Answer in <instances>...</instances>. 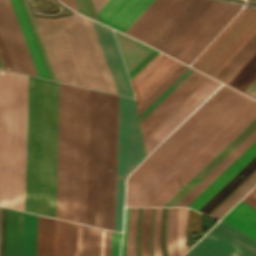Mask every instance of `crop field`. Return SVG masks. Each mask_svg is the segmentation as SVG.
Returning a JSON list of instances; mask_svg holds the SVG:
<instances>
[{
    "instance_id": "214f88e0",
    "label": "crop field",
    "mask_w": 256,
    "mask_h": 256,
    "mask_svg": "<svg viewBox=\"0 0 256 256\" xmlns=\"http://www.w3.org/2000/svg\"><path fill=\"white\" fill-rule=\"evenodd\" d=\"M72 256H100L101 229L73 223Z\"/></svg>"
},
{
    "instance_id": "dafd665d",
    "label": "crop field",
    "mask_w": 256,
    "mask_h": 256,
    "mask_svg": "<svg viewBox=\"0 0 256 256\" xmlns=\"http://www.w3.org/2000/svg\"><path fill=\"white\" fill-rule=\"evenodd\" d=\"M23 212L6 210L4 256H20Z\"/></svg>"
},
{
    "instance_id": "412701ff",
    "label": "crop field",
    "mask_w": 256,
    "mask_h": 256,
    "mask_svg": "<svg viewBox=\"0 0 256 256\" xmlns=\"http://www.w3.org/2000/svg\"><path fill=\"white\" fill-rule=\"evenodd\" d=\"M116 112L117 96L89 89L85 224L111 230Z\"/></svg>"
},
{
    "instance_id": "028f5c9d",
    "label": "crop field",
    "mask_w": 256,
    "mask_h": 256,
    "mask_svg": "<svg viewBox=\"0 0 256 256\" xmlns=\"http://www.w3.org/2000/svg\"><path fill=\"white\" fill-rule=\"evenodd\" d=\"M121 234L112 231L111 256H119Z\"/></svg>"
},
{
    "instance_id": "f4fd0767",
    "label": "crop field",
    "mask_w": 256,
    "mask_h": 256,
    "mask_svg": "<svg viewBox=\"0 0 256 256\" xmlns=\"http://www.w3.org/2000/svg\"><path fill=\"white\" fill-rule=\"evenodd\" d=\"M14 73L0 70V206L24 211L25 176L11 175ZM28 76L15 73L12 174L25 175Z\"/></svg>"
},
{
    "instance_id": "a9b5d70f",
    "label": "crop field",
    "mask_w": 256,
    "mask_h": 256,
    "mask_svg": "<svg viewBox=\"0 0 256 256\" xmlns=\"http://www.w3.org/2000/svg\"><path fill=\"white\" fill-rule=\"evenodd\" d=\"M255 170H256V157L252 161H250L235 177H233L211 200H209L199 210V212L208 216Z\"/></svg>"
},
{
    "instance_id": "34b2d1b8",
    "label": "crop field",
    "mask_w": 256,
    "mask_h": 256,
    "mask_svg": "<svg viewBox=\"0 0 256 256\" xmlns=\"http://www.w3.org/2000/svg\"><path fill=\"white\" fill-rule=\"evenodd\" d=\"M33 18L57 80L117 94L89 19Z\"/></svg>"
},
{
    "instance_id": "425ffa30",
    "label": "crop field",
    "mask_w": 256,
    "mask_h": 256,
    "mask_svg": "<svg viewBox=\"0 0 256 256\" xmlns=\"http://www.w3.org/2000/svg\"><path fill=\"white\" fill-rule=\"evenodd\" d=\"M131 217H132V208H130V217H129V232H128L127 256H129V237H130V230H131Z\"/></svg>"
},
{
    "instance_id": "d32e631a",
    "label": "crop field",
    "mask_w": 256,
    "mask_h": 256,
    "mask_svg": "<svg viewBox=\"0 0 256 256\" xmlns=\"http://www.w3.org/2000/svg\"><path fill=\"white\" fill-rule=\"evenodd\" d=\"M173 217H174V208H169L168 221H167V235H166L169 256H175L173 239H172Z\"/></svg>"
},
{
    "instance_id": "3316defc",
    "label": "crop field",
    "mask_w": 256,
    "mask_h": 256,
    "mask_svg": "<svg viewBox=\"0 0 256 256\" xmlns=\"http://www.w3.org/2000/svg\"><path fill=\"white\" fill-rule=\"evenodd\" d=\"M235 93L236 91L222 85L211 97H209L186 121H184L142 162V164L133 172V174L131 173L132 175L128 178L126 197Z\"/></svg>"
},
{
    "instance_id": "c21b1889",
    "label": "crop field",
    "mask_w": 256,
    "mask_h": 256,
    "mask_svg": "<svg viewBox=\"0 0 256 256\" xmlns=\"http://www.w3.org/2000/svg\"><path fill=\"white\" fill-rule=\"evenodd\" d=\"M128 216H129V208H126L124 238H123V246H122L121 256H125V245H126V237H127V229H128Z\"/></svg>"
},
{
    "instance_id": "d3111659",
    "label": "crop field",
    "mask_w": 256,
    "mask_h": 256,
    "mask_svg": "<svg viewBox=\"0 0 256 256\" xmlns=\"http://www.w3.org/2000/svg\"><path fill=\"white\" fill-rule=\"evenodd\" d=\"M256 184V171L242 183L220 206H218L209 217L218 220L226 213L246 192ZM247 194V193H246ZM245 194V195H246ZM225 215V214H224Z\"/></svg>"
},
{
    "instance_id": "5866460e",
    "label": "crop field",
    "mask_w": 256,
    "mask_h": 256,
    "mask_svg": "<svg viewBox=\"0 0 256 256\" xmlns=\"http://www.w3.org/2000/svg\"><path fill=\"white\" fill-rule=\"evenodd\" d=\"M0 60L4 69L15 71L13 68L12 62L10 60L9 54L7 52L6 46L4 44L3 38L1 36V33H0Z\"/></svg>"
},
{
    "instance_id": "4177f3b9",
    "label": "crop field",
    "mask_w": 256,
    "mask_h": 256,
    "mask_svg": "<svg viewBox=\"0 0 256 256\" xmlns=\"http://www.w3.org/2000/svg\"><path fill=\"white\" fill-rule=\"evenodd\" d=\"M115 31V30H114ZM127 72L133 69L153 49L115 31Z\"/></svg>"
},
{
    "instance_id": "d8731c3e",
    "label": "crop field",
    "mask_w": 256,
    "mask_h": 256,
    "mask_svg": "<svg viewBox=\"0 0 256 256\" xmlns=\"http://www.w3.org/2000/svg\"><path fill=\"white\" fill-rule=\"evenodd\" d=\"M0 30L16 71L50 79L21 0H0Z\"/></svg>"
},
{
    "instance_id": "dd49c442",
    "label": "crop field",
    "mask_w": 256,
    "mask_h": 256,
    "mask_svg": "<svg viewBox=\"0 0 256 256\" xmlns=\"http://www.w3.org/2000/svg\"><path fill=\"white\" fill-rule=\"evenodd\" d=\"M256 31V10L243 8L193 67L215 76ZM240 91L256 78V32L214 77Z\"/></svg>"
},
{
    "instance_id": "92a150f3",
    "label": "crop field",
    "mask_w": 256,
    "mask_h": 256,
    "mask_svg": "<svg viewBox=\"0 0 256 256\" xmlns=\"http://www.w3.org/2000/svg\"><path fill=\"white\" fill-rule=\"evenodd\" d=\"M256 140V129L236 147L213 171H211L188 195L176 206H187L200 194L222 171H224L242 152Z\"/></svg>"
},
{
    "instance_id": "8a807250",
    "label": "crop field",
    "mask_w": 256,
    "mask_h": 256,
    "mask_svg": "<svg viewBox=\"0 0 256 256\" xmlns=\"http://www.w3.org/2000/svg\"><path fill=\"white\" fill-rule=\"evenodd\" d=\"M58 99V82L29 76L25 210L51 217L56 201ZM87 105L88 89L60 83L56 217L83 224Z\"/></svg>"
},
{
    "instance_id": "c035e120",
    "label": "crop field",
    "mask_w": 256,
    "mask_h": 256,
    "mask_svg": "<svg viewBox=\"0 0 256 256\" xmlns=\"http://www.w3.org/2000/svg\"><path fill=\"white\" fill-rule=\"evenodd\" d=\"M111 231L105 230L104 256H110Z\"/></svg>"
},
{
    "instance_id": "e1f06a70",
    "label": "crop field",
    "mask_w": 256,
    "mask_h": 256,
    "mask_svg": "<svg viewBox=\"0 0 256 256\" xmlns=\"http://www.w3.org/2000/svg\"><path fill=\"white\" fill-rule=\"evenodd\" d=\"M136 217H137V208H133L132 231H131V241H130V256H134Z\"/></svg>"
},
{
    "instance_id": "d1516ede",
    "label": "crop field",
    "mask_w": 256,
    "mask_h": 256,
    "mask_svg": "<svg viewBox=\"0 0 256 256\" xmlns=\"http://www.w3.org/2000/svg\"><path fill=\"white\" fill-rule=\"evenodd\" d=\"M185 254L189 256H256V240L220 220Z\"/></svg>"
},
{
    "instance_id": "0bd39190",
    "label": "crop field",
    "mask_w": 256,
    "mask_h": 256,
    "mask_svg": "<svg viewBox=\"0 0 256 256\" xmlns=\"http://www.w3.org/2000/svg\"><path fill=\"white\" fill-rule=\"evenodd\" d=\"M160 217H161V208H158L157 222H156V236H155V251L157 256H161V250L159 245Z\"/></svg>"
},
{
    "instance_id": "d9b57169",
    "label": "crop field",
    "mask_w": 256,
    "mask_h": 256,
    "mask_svg": "<svg viewBox=\"0 0 256 256\" xmlns=\"http://www.w3.org/2000/svg\"><path fill=\"white\" fill-rule=\"evenodd\" d=\"M180 64L159 53L131 80L135 92L136 104L138 105Z\"/></svg>"
},
{
    "instance_id": "89e229c0",
    "label": "crop field",
    "mask_w": 256,
    "mask_h": 256,
    "mask_svg": "<svg viewBox=\"0 0 256 256\" xmlns=\"http://www.w3.org/2000/svg\"><path fill=\"white\" fill-rule=\"evenodd\" d=\"M250 1H256V0H250Z\"/></svg>"
},
{
    "instance_id": "cbeb9de0",
    "label": "crop field",
    "mask_w": 256,
    "mask_h": 256,
    "mask_svg": "<svg viewBox=\"0 0 256 256\" xmlns=\"http://www.w3.org/2000/svg\"><path fill=\"white\" fill-rule=\"evenodd\" d=\"M92 21V20H91ZM117 93L133 97V91L113 31L92 21Z\"/></svg>"
},
{
    "instance_id": "750c4746",
    "label": "crop field",
    "mask_w": 256,
    "mask_h": 256,
    "mask_svg": "<svg viewBox=\"0 0 256 256\" xmlns=\"http://www.w3.org/2000/svg\"><path fill=\"white\" fill-rule=\"evenodd\" d=\"M187 67L180 65L171 75H169L149 96H147L138 106V113L147 107L159 94H161Z\"/></svg>"
},
{
    "instance_id": "1d83c4d3",
    "label": "crop field",
    "mask_w": 256,
    "mask_h": 256,
    "mask_svg": "<svg viewBox=\"0 0 256 256\" xmlns=\"http://www.w3.org/2000/svg\"><path fill=\"white\" fill-rule=\"evenodd\" d=\"M193 69L188 68L179 78H177L154 102H152L140 115V121L150 113L175 87H177Z\"/></svg>"
},
{
    "instance_id": "120bbe31",
    "label": "crop field",
    "mask_w": 256,
    "mask_h": 256,
    "mask_svg": "<svg viewBox=\"0 0 256 256\" xmlns=\"http://www.w3.org/2000/svg\"><path fill=\"white\" fill-rule=\"evenodd\" d=\"M150 215H151V208H144L142 237H141L142 256H150L149 254Z\"/></svg>"
},
{
    "instance_id": "03da06ac",
    "label": "crop field",
    "mask_w": 256,
    "mask_h": 256,
    "mask_svg": "<svg viewBox=\"0 0 256 256\" xmlns=\"http://www.w3.org/2000/svg\"><path fill=\"white\" fill-rule=\"evenodd\" d=\"M177 212H178V208H175L174 228H173V239H174V245H175L176 256H179V253H178V246H177V241H176Z\"/></svg>"
},
{
    "instance_id": "4a817a6b",
    "label": "crop field",
    "mask_w": 256,
    "mask_h": 256,
    "mask_svg": "<svg viewBox=\"0 0 256 256\" xmlns=\"http://www.w3.org/2000/svg\"><path fill=\"white\" fill-rule=\"evenodd\" d=\"M256 128V118L250 122L229 144H227L203 169H201L182 189L164 206H175L211 170H213L236 146Z\"/></svg>"
},
{
    "instance_id": "733c2abd",
    "label": "crop field",
    "mask_w": 256,
    "mask_h": 256,
    "mask_svg": "<svg viewBox=\"0 0 256 256\" xmlns=\"http://www.w3.org/2000/svg\"><path fill=\"white\" fill-rule=\"evenodd\" d=\"M154 0H109L97 13L100 21L125 32Z\"/></svg>"
},
{
    "instance_id": "ac0d7876",
    "label": "crop field",
    "mask_w": 256,
    "mask_h": 256,
    "mask_svg": "<svg viewBox=\"0 0 256 256\" xmlns=\"http://www.w3.org/2000/svg\"><path fill=\"white\" fill-rule=\"evenodd\" d=\"M184 1L155 0L126 33L147 43ZM212 1L186 0L148 43L166 52ZM239 9L214 0L166 53L190 64Z\"/></svg>"
},
{
    "instance_id": "5a996713",
    "label": "crop field",
    "mask_w": 256,
    "mask_h": 256,
    "mask_svg": "<svg viewBox=\"0 0 256 256\" xmlns=\"http://www.w3.org/2000/svg\"><path fill=\"white\" fill-rule=\"evenodd\" d=\"M145 157L134 99L118 96L114 230L122 231L124 178Z\"/></svg>"
},
{
    "instance_id": "bd1437ed",
    "label": "crop field",
    "mask_w": 256,
    "mask_h": 256,
    "mask_svg": "<svg viewBox=\"0 0 256 256\" xmlns=\"http://www.w3.org/2000/svg\"><path fill=\"white\" fill-rule=\"evenodd\" d=\"M188 208L179 207L177 239L180 256L188 249L185 241V228L188 215Z\"/></svg>"
},
{
    "instance_id": "1f2cbd36",
    "label": "crop field",
    "mask_w": 256,
    "mask_h": 256,
    "mask_svg": "<svg viewBox=\"0 0 256 256\" xmlns=\"http://www.w3.org/2000/svg\"><path fill=\"white\" fill-rule=\"evenodd\" d=\"M186 256V255H185Z\"/></svg>"
},
{
    "instance_id": "00972430",
    "label": "crop field",
    "mask_w": 256,
    "mask_h": 256,
    "mask_svg": "<svg viewBox=\"0 0 256 256\" xmlns=\"http://www.w3.org/2000/svg\"><path fill=\"white\" fill-rule=\"evenodd\" d=\"M221 220L256 239V210L239 202Z\"/></svg>"
},
{
    "instance_id": "5142ce71",
    "label": "crop field",
    "mask_w": 256,
    "mask_h": 256,
    "mask_svg": "<svg viewBox=\"0 0 256 256\" xmlns=\"http://www.w3.org/2000/svg\"><path fill=\"white\" fill-rule=\"evenodd\" d=\"M207 78L208 77L203 74L195 71L188 79H186L173 93H171L140 122L143 137L145 138Z\"/></svg>"
},
{
    "instance_id": "5d738f31",
    "label": "crop field",
    "mask_w": 256,
    "mask_h": 256,
    "mask_svg": "<svg viewBox=\"0 0 256 256\" xmlns=\"http://www.w3.org/2000/svg\"><path fill=\"white\" fill-rule=\"evenodd\" d=\"M108 0H92L96 13Z\"/></svg>"
},
{
    "instance_id": "e52e79f7",
    "label": "crop field",
    "mask_w": 256,
    "mask_h": 256,
    "mask_svg": "<svg viewBox=\"0 0 256 256\" xmlns=\"http://www.w3.org/2000/svg\"><path fill=\"white\" fill-rule=\"evenodd\" d=\"M251 101L237 92L126 198V206H142Z\"/></svg>"
},
{
    "instance_id": "22f410ed",
    "label": "crop field",
    "mask_w": 256,
    "mask_h": 256,
    "mask_svg": "<svg viewBox=\"0 0 256 256\" xmlns=\"http://www.w3.org/2000/svg\"><path fill=\"white\" fill-rule=\"evenodd\" d=\"M220 85V83L208 78L200 87H198L144 139L146 154L148 155Z\"/></svg>"
},
{
    "instance_id": "730fd06b",
    "label": "crop field",
    "mask_w": 256,
    "mask_h": 256,
    "mask_svg": "<svg viewBox=\"0 0 256 256\" xmlns=\"http://www.w3.org/2000/svg\"><path fill=\"white\" fill-rule=\"evenodd\" d=\"M54 219L38 215L36 256H52Z\"/></svg>"
},
{
    "instance_id": "b54c1fbb",
    "label": "crop field",
    "mask_w": 256,
    "mask_h": 256,
    "mask_svg": "<svg viewBox=\"0 0 256 256\" xmlns=\"http://www.w3.org/2000/svg\"><path fill=\"white\" fill-rule=\"evenodd\" d=\"M244 93L256 98V79L250 84Z\"/></svg>"
},
{
    "instance_id": "b80d0937",
    "label": "crop field",
    "mask_w": 256,
    "mask_h": 256,
    "mask_svg": "<svg viewBox=\"0 0 256 256\" xmlns=\"http://www.w3.org/2000/svg\"><path fill=\"white\" fill-rule=\"evenodd\" d=\"M241 201L256 209V187L251 192H249Z\"/></svg>"
},
{
    "instance_id": "bc2a9ffb",
    "label": "crop field",
    "mask_w": 256,
    "mask_h": 256,
    "mask_svg": "<svg viewBox=\"0 0 256 256\" xmlns=\"http://www.w3.org/2000/svg\"><path fill=\"white\" fill-rule=\"evenodd\" d=\"M255 156H256V141L244 153H242L224 172H222L188 206L198 211L209 199H211L233 176H235Z\"/></svg>"
},
{
    "instance_id": "28ad6ade",
    "label": "crop field",
    "mask_w": 256,
    "mask_h": 256,
    "mask_svg": "<svg viewBox=\"0 0 256 256\" xmlns=\"http://www.w3.org/2000/svg\"><path fill=\"white\" fill-rule=\"evenodd\" d=\"M255 116L256 101L253 100L143 206H163Z\"/></svg>"
},
{
    "instance_id": "73cf0c24",
    "label": "crop field",
    "mask_w": 256,
    "mask_h": 256,
    "mask_svg": "<svg viewBox=\"0 0 256 256\" xmlns=\"http://www.w3.org/2000/svg\"><path fill=\"white\" fill-rule=\"evenodd\" d=\"M1 216H2V208L0 207V233H1Z\"/></svg>"
},
{
    "instance_id": "ae1a2a85",
    "label": "crop field",
    "mask_w": 256,
    "mask_h": 256,
    "mask_svg": "<svg viewBox=\"0 0 256 256\" xmlns=\"http://www.w3.org/2000/svg\"><path fill=\"white\" fill-rule=\"evenodd\" d=\"M37 215L24 212L22 256H35Z\"/></svg>"
},
{
    "instance_id": "eef30255",
    "label": "crop field",
    "mask_w": 256,
    "mask_h": 256,
    "mask_svg": "<svg viewBox=\"0 0 256 256\" xmlns=\"http://www.w3.org/2000/svg\"><path fill=\"white\" fill-rule=\"evenodd\" d=\"M72 223L55 219L53 256H71Z\"/></svg>"
},
{
    "instance_id": "d23c7cc5",
    "label": "crop field",
    "mask_w": 256,
    "mask_h": 256,
    "mask_svg": "<svg viewBox=\"0 0 256 256\" xmlns=\"http://www.w3.org/2000/svg\"><path fill=\"white\" fill-rule=\"evenodd\" d=\"M63 1L65 4H67L69 7L75 9L78 11V7H77V4H76V0H61Z\"/></svg>"
},
{
    "instance_id": "25e5ab78",
    "label": "crop field",
    "mask_w": 256,
    "mask_h": 256,
    "mask_svg": "<svg viewBox=\"0 0 256 256\" xmlns=\"http://www.w3.org/2000/svg\"><path fill=\"white\" fill-rule=\"evenodd\" d=\"M103 240H104V230L102 229V239H101V256H103Z\"/></svg>"
}]
</instances>
